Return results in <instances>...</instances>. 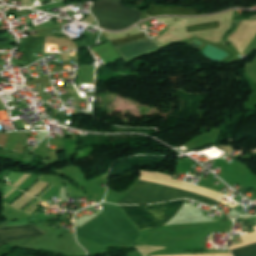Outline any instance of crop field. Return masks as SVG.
Wrapping results in <instances>:
<instances>
[{"mask_svg":"<svg viewBox=\"0 0 256 256\" xmlns=\"http://www.w3.org/2000/svg\"><path fill=\"white\" fill-rule=\"evenodd\" d=\"M140 180L153 183L166 184L175 188L187 190L190 192L205 195L218 201L223 194L208 188L192 185L187 182L171 179V176L150 171H140ZM149 182L139 181L137 187L129 193L118 204H153L162 201H167L175 198H192L209 206H214L217 202L205 196L178 190L166 185L153 184Z\"/></svg>","mask_w":256,"mask_h":256,"instance_id":"1","label":"crop field"},{"mask_svg":"<svg viewBox=\"0 0 256 256\" xmlns=\"http://www.w3.org/2000/svg\"><path fill=\"white\" fill-rule=\"evenodd\" d=\"M186 200H177L150 206H119L125 215L140 230H147L165 223L174 217Z\"/></svg>","mask_w":256,"mask_h":256,"instance_id":"2","label":"crop field"},{"mask_svg":"<svg viewBox=\"0 0 256 256\" xmlns=\"http://www.w3.org/2000/svg\"><path fill=\"white\" fill-rule=\"evenodd\" d=\"M122 2L123 0H96L91 6L90 10L101 28L120 30L139 21L142 12L126 7Z\"/></svg>","mask_w":256,"mask_h":256,"instance_id":"3","label":"crop field"},{"mask_svg":"<svg viewBox=\"0 0 256 256\" xmlns=\"http://www.w3.org/2000/svg\"><path fill=\"white\" fill-rule=\"evenodd\" d=\"M144 36H146L144 33L137 34V35L126 37V38L113 40V41H111V43L113 45H115V44L131 41V40L143 38ZM158 47H161V46L158 45L156 42L150 40L149 38H147V39L144 38V39H140V40H136V41H132V42H128V43H124V44L115 46L116 50L122 55V57L125 60L135 57L141 53L151 51Z\"/></svg>","mask_w":256,"mask_h":256,"instance_id":"4","label":"crop field"},{"mask_svg":"<svg viewBox=\"0 0 256 256\" xmlns=\"http://www.w3.org/2000/svg\"><path fill=\"white\" fill-rule=\"evenodd\" d=\"M40 235L32 225L0 228V246L12 240Z\"/></svg>","mask_w":256,"mask_h":256,"instance_id":"5","label":"crop field"},{"mask_svg":"<svg viewBox=\"0 0 256 256\" xmlns=\"http://www.w3.org/2000/svg\"><path fill=\"white\" fill-rule=\"evenodd\" d=\"M148 15H161V14H173V15H197V8H182L174 6H162V5H153L147 11Z\"/></svg>","mask_w":256,"mask_h":256,"instance_id":"6","label":"crop field"},{"mask_svg":"<svg viewBox=\"0 0 256 256\" xmlns=\"http://www.w3.org/2000/svg\"><path fill=\"white\" fill-rule=\"evenodd\" d=\"M6 175L15 187L21 180H23L28 174L27 173H16V172H6ZM31 174H29L23 181H21L16 188H18ZM40 175L32 174L20 187L19 189L25 191L31 184H33Z\"/></svg>","mask_w":256,"mask_h":256,"instance_id":"7","label":"crop field"},{"mask_svg":"<svg viewBox=\"0 0 256 256\" xmlns=\"http://www.w3.org/2000/svg\"><path fill=\"white\" fill-rule=\"evenodd\" d=\"M18 190H16V189H14V188H9V189H7L5 192H4V201L5 200H7L9 197H11L13 194H15L16 192H17ZM23 192L22 191H19V192H17L15 195H13L11 198H9L7 201H5L6 203H8V204H10L11 202H13L17 197H19L21 194H22ZM26 194V193H25ZM25 194H23L22 196H24ZM34 197H32V196H30V195H28V194H26L24 197H22L20 200L19 199H17L16 201H15V203L16 204H12L13 205V207H15V208H17V209H19V210H21L23 207H25L26 205H27V203H29L32 199H33ZM11 205V206H12Z\"/></svg>","mask_w":256,"mask_h":256,"instance_id":"8","label":"crop field"},{"mask_svg":"<svg viewBox=\"0 0 256 256\" xmlns=\"http://www.w3.org/2000/svg\"><path fill=\"white\" fill-rule=\"evenodd\" d=\"M234 256H256V244L231 251Z\"/></svg>","mask_w":256,"mask_h":256,"instance_id":"9","label":"crop field"},{"mask_svg":"<svg viewBox=\"0 0 256 256\" xmlns=\"http://www.w3.org/2000/svg\"><path fill=\"white\" fill-rule=\"evenodd\" d=\"M217 27H220L218 21L200 24V25L189 26V27H187V32L210 29V28H217Z\"/></svg>","mask_w":256,"mask_h":256,"instance_id":"10","label":"crop field"},{"mask_svg":"<svg viewBox=\"0 0 256 256\" xmlns=\"http://www.w3.org/2000/svg\"><path fill=\"white\" fill-rule=\"evenodd\" d=\"M28 224L27 220H23V221H11L5 224L0 225V227H4V226H15V225H25Z\"/></svg>","mask_w":256,"mask_h":256,"instance_id":"11","label":"crop field"},{"mask_svg":"<svg viewBox=\"0 0 256 256\" xmlns=\"http://www.w3.org/2000/svg\"><path fill=\"white\" fill-rule=\"evenodd\" d=\"M50 186H51V185H50ZM50 186H49V187H50ZM49 187H48V188H49ZM48 188H47V189H48ZM47 189H46V190H47ZM46 190H45V191H46ZM45 191H44V192H45ZM42 193H43V192H42ZM42 193H41V194H42ZM41 194H40V195H41Z\"/></svg>","mask_w":256,"mask_h":256,"instance_id":"12","label":"crop field"},{"mask_svg":"<svg viewBox=\"0 0 256 256\" xmlns=\"http://www.w3.org/2000/svg\"><path fill=\"white\" fill-rule=\"evenodd\" d=\"M218 219L214 220V221H217Z\"/></svg>","mask_w":256,"mask_h":256,"instance_id":"13","label":"crop field"}]
</instances>
